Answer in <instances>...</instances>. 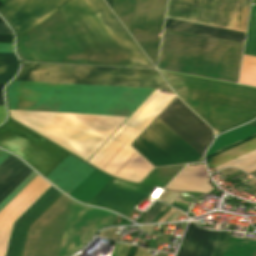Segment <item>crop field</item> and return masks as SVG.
Wrapping results in <instances>:
<instances>
[{
  "label": "crop field",
  "instance_id": "16",
  "mask_svg": "<svg viewBox=\"0 0 256 256\" xmlns=\"http://www.w3.org/2000/svg\"><path fill=\"white\" fill-rule=\"evenodd\" d=\"M31 171L11 155L0 165V203Z\"/></svg>",
  "mask_w": 256,
  "mask_h": 256
},
{
  "label": "crop field",
  "instance_id": "18",
  "mask_svg": "<svg viewBox=\"0 0 256 256\" xmlns=\"http://www.w3.org/2000/svg\"><path fill=\"white\" fill-rule=\"evenodd\" d=\"M166 29L220 38L243 43L245 34L166 19Z\"/></svg>",
  "mask_w": 256,
  "mask_h": 256
},
{
  "label": "crop field",
  "instance_id": "21",
  "mask_svg": "<svg viewBox=\"0 0 256 256\" xmlns=\"http://www.w3.org/2000/svg\"><path fill=\"white\" fill-rule=\"evenodd\" d=\"M239 84L256 87V57H243Z\"/></svg>",
  "mask_w": 256,
  "mask_h": 256
},
{
  "label": "crop field",
  "instance_id": "22",
  "mask_svg": "<svg viewBox=\"0 0 256 256\" xmlns=\"http://www.w3.org/2000/svg\"><path fill=\"white\" fill-rule=\"evenodd\" d=\"M227 166H234V167H236L238 169H242L248 173L256 170V150L249 154H246L242 157H239L233 161H230L224 165H221L215 169H216V171H218Z\"/></svg>",
  "mask_w": 256,
  "mask_h": 256
},
{
  "label": "crop field",
  "instance_id": "19",
  "mask_svg": "<svg viewBox=\"0 0 256 256\" xmlns=\"http://www.w3.org/2000/svg\"><path fill=\"white\" fill-rule=\"evenodd\" d=\"M254 149H256V138L213 157L212 162L208 163V167L214 168Z\"/></svg>",
  "mask_w": 256,
  "mask_h": 256
},
{
  "label": "crop field",
  "instance_id": "7",
  "mask_svg": "<svg viewBox=\"0 0 256 256\" xmlns=\"http://www.w3.org/2000/svg\"><path fill=\"white\" fill-rule=\"evenodd\" d=\"M0 147L25 160L44 177L69 154L11 120L0 127Z\"/></svg>",
  "mask_w": 256,
  "mask_h": 256
},
{
  "label": "crop field",
  "instance_id": "23",
  "mask_svg": "<svg viewBox=\"0 0 256 256\" xmlns=\"http://www.w3.org/2000/svg\"><path fill=\"white\" fill-rule=\"evenodd\" d=\"M220 232L211 256H223L231 236Z\"/></svg>",
  "mask_w": 256,
  "mask_h": 256
},
{
  "label": "crop field",
  "instance_id": "24",
  "mask_svg": "<svg viewBox=\"0 0 256 256\" xmlns=\"http://www.w3.org/2000/svg\"><path fill=\"white\" fill-rule=\"evenodd\" d=\"M132 245L117 243L112 256H127ZM146 249L138 248L135 256H145Z\"/></svg>",
  "mask_w": 256,
  "mask_h": 256
},
{
  "label": "crop field",
  "instance_id": "12",
  "mask_svg": "<svg viewBox=\"0 0 256 256\" xmlns=\"http://www.w3.org/2000/svg\"><path fill=\"white\" fill-rule=\"evenodd\" d=\"M51 185L37 176L1 213H0V256H4L13 223L50 187Z\"/></svg>",
  "mask_w": 256,
  "mask_h": 256
},
{
  "label": "crop field",
  "instance_id": "35",
  "mask_svg": "<svg viewBox=\"0 0 256 256\" xmlns=\"http://www.w3.org/2000/svg\"><path fill=\"white\" fill-rule=\"evenodd\" d=\"M248 125H251V126L256 127V120H255V121H253V122H251V123H249Z\"/></svg>",
  "mask_w": 256,
  "mask_h": 256
},
{
  "label": "crop field",
  "instance_id": "3",
  "mask_svg": "<svg viewBox=\"0 0 256 256\" xmlns=\"http://www.w3.org/2000/svg\"><path fill=\"white\" fill-rule=\"evenodd\" d=\"M159 71L177 95L218 133L256 117V88Z\"/></svg>",
  "mask_w": 256,
  "mask_h": 256
},
{
  "label": "crop field",
  "instance_id": "38",
  "mask_svg": "<svg viewBox=\"0 0 256 256\" xmlns=\"http://www.w3.org/2000/svg\"><path fill=\"white\" fill-rule=\"evenodd\" d=\"M253 4H256V0L253 1Z\"/></svg>",
  "mask_w": 256,
  "mask_h": 256
},
{
  "label": "crop field",
  "instance_id": "31",
  "mask_svg": "<svg viewBox=\"0 0 256 256\" xmlns=\"http://www.w3.org/2000/svg\"><path fill=\"white\" fill-rule=\"evenodd\" d=\"M5 84H0V105H4L3 101V94H2V88L4 87Z\"/></svg>",
  "mask_w": 256,
  "mask_h": 256
},
{
  "label": "crop field",
  "instance_id": "8",
  "mask_svg": "<svg viewBox=\"0 0 256 256\" xmlns=\"http://www.w3.org/2000/svg\"><path fill=\"white\" fill-rule=\"evenodd\" d=\"M143 134L176 164L203 161L159 118ZM143 134L132 144L142 155L154 166L175 164Z\"/></svg>",
  "mask_w": 256,
  "mask_h": 256
},
{
  "label": "crop field",
  "instance_id": "5",
  "mask_svg": "<svg viewBox=\"0 0 256 256\" xmlns=\"http://www.w3.org/2000/svg\"><path fill=\"white\" fill-rule=\"evenodd\" d=\"M16 81L168 87L155 70L26 63Z\"/></svg>",
  "mask_w": 256,
  "mask_h": 256
},
{
  "label": "crop field",
  "instance_id": "30",
  "mask_svg": "<svg viewBox=\"0 0 256 256\" xmlns=\"http://www.w3.org/2000/svg\"><path fill=\"white\" fill-rule=\"evenodd\" d=\"M6 118L4 106H0V124L4 122Z\"/></svg>",
  "mask_w": 256,
  "mask_h": 256
},
{
  "label": "crop field",
  "instance_id": "11",
  "mask_svg": "<svg viewBox=\"0 0 256 256\" xmlns=\"http://www.w3.org/2000/svg\"><path fill=\"white\" fill-rule=\"evenodd\" d=\"M134 67L154 68L103 0L85 1Z\"/></svg>",
  "mask_w": 256,
  "mask_h": 256
},
{
  "label": "crop field",
  "instance_id": "34",
  "mask_svg": "<svg viewBox=\"0 0 256 256\" xmlns=\"http://www.w3.org/2000/svg\"><path fill=\"white\" fill-rule=\"evenodd\" d=\"M106 2H107V4L110 6V8H111V6H112V0H105Z\"/></svg>",
  "mask_w": 256,
  "mask_h": 256
},
{
  "label": "crop field",
  "instance_id": "17",
  "mask_svg": "<svg viewBox=\"0 0 256 256\" xmlns=\"http://www.w3.org/2000/svg\"><path fill=\"white\" fill-rule=\"evenodd\" d=\"M208 181L204 165L191 166L186 167L167 188L207 193L213 189Z\"/></svg>",
  "mask_w": 256,
  "mask_h": 256
},
{
  "label": "crop field",
  "instance_id": "33",
  "mask_svg": "<svg viewBox=\"0 0 256 256\" xmlns=\"http://www.w3.org/2000/svg\"><path fill=\"white\" fill-rule=\"evenodd\" d=\"M9 156V154L3 152L1 155H0V164Z\"/></svg>",
  "mask_w": 256,
  "mask_h": 256
},
{
  "label": "crop field",
  "instance_id": "26",
  "mask_svg": "<svg viewBox=\"0 0 256 256\" xmlns=\"http://www.w3.org/2000/svg\"><path fill=\"white\" fill-rule=\"evenodd\" d=\"M0 34L13 35V32L10 30L6 23H0Z\"/></svg>",
  "mask_w": 256,
  "mask_h": 256
},
{
  "label": "crop field",
  "instance_id": "1",
  "mask_svg": "<svg viewBox=\"0 0 256 256\" xmlns=\"http://www.w3.org/2000/svg\"><path fill=\"white\" fill-rule=\"evenodd\" d=\"M67 1L10 0L0 12L20 36ZM53 15L90 64L133 67L83 0H70Z\"/></svg>",
  "mask_w": 256,
  "mask_h": 256
},
{
  "label": "crop field",
  "instance_id": "4",
  "mask_svg": "<svg viewBox=\"0 0 256 256\" xmlns=\"http://www.w3.org/2000/svg\"><path fill=\"white\" fill-rule=\"evenodd\" d=\"M175 97L156 90L88 162L114 176L139 182L153 167L129 144Z\"/></svg>",
  "mask_w": 256,
  "mask_h": 256
},
{
  "label": "crop field",
  "instance_id": "27",
  "mask_svg": "<svg viewBox=\"0 0 256 256\" xmlns=\"http://www.w3.org/2000/svg\"><path fill=\"white\" fill-rule=\"evenodd\" d=\"M171 206H173V207H175V208H177V209H180V210H183V211H185V212H187L188 211V205H186V204H184V203H181V202H179V201H177V200H175L172 204H171Z\"/></svg>",
  "mask_w": 256,
  "mask_h": 256
},
{
  "label": "crop field",
  "instance_id": "13",
  "mask_svg": "<svg viewBox=\"0 0 256 256\" xmlns=\"http://www.w3.org/2000/svg\"><path fill=\"white\" fill-rule=\"evenodd\" d=\"M52 186L14 223L5 256H21L29 227L61 196Z\"/></svg>",
  "mask_w": 256,
  "mask_h": 256
},
{
  "label": "crop field",
  "instance_id": "28",
  "mask_svg": "<svg viewBox=\"0 0 256 256\" xmlns=\"http://www.w3.org/2000/svg\"><path fill=\"white\" fill-rule=\"evenodd\" d=\"M0 52H14L13 44H0Z\"/></svg>",
  "mask_w": 256,
  "mask_h": 256
},
{
  "label": "crop field",
  "instance_id": "20",
  "mask_svg": "<svg viewBox=\"0 0 256 256\" xmlns=\"http://www.w3.org/2000/svg\"><path fill=\"white\" fill-rule=\"evenodd\" d=\"M19 67V61L14 53H0V82L12 79Z\"/></svg>",
  "mask_w": 256,
  "mask_h": 256
},
{
  "label": "crop field",
  "instance_id": "2",
  "mask_svg": "<svg viewBox=\"0 0 256 256\" xmlns=\"http://www.w3.org/2000/svg\"><path fill=\"white\" fill-rule=\"evenodd\" d=\"M155 89L14 82L10 109L132 115Z\"/></svg>",
  "mask_w": 256,
  "mask_h": 256
},
{
  "label": "crop field",
  "instance_id": "9",
  "mask_svg": "<svg viewBox=\"0 0 256 256\" xmlns=\"http://www.w3.org/2000/svg\"><path fill=\"white\" fill-rule=\"evenodd\" d=\"M158 117L202 157L212 132L184 103L176 98Z\"/></svg>",
  "mask_w": 256,
  "mask_h": 256
},
{
  "label": "crop field",
  "instance_id": "15",
  "mask_svg": "<svg viewBox=\"0 0 256 256\" xmlns=\"http://www.w3.org/2000/svg\"><path fill=\"white\" fill-rule=\"evenodd\" d=\"M218 233L200 229L190 222L176 256H210Z\"/></svg>",
  "mask_w": 256,
  "mask_h": 256
},
{
  "label": "crop field",
  "instance_id": "36",
  "mask_svg": "<svg viewBox=\"0 0 256 256\" xmlns=\"http://www.w3.org/2000/svg\"><path fill=\"white\" fill-rule=\"evenodd\" d=\"M7 1H9V0H0V2L3 4V3H5V2H7Z\"/></svg>",
  "mask_w": 256,
  "mask_h": 256
},
{
  "label": "crop field",
  "instance_id": "14",
  "mask_svg": "<svg viewBox=\"0 0 256 256\" xmlns=\"http://www.w3.org/2000/svg\"><path fill=\"white\" fill-rule=\"evenodd\" d=\"M94 169L69 154L45 178L68 195Z\"/></svg>",
  "mask_w": 256,
  "mask_h": 256
},
{
  "label": "crop field",
  "instance_id": "10",
  "mask_svg": "<svg viewBox=\"0 0 256 256\" xmlns=\"http://www.w3.org/2000/svg\"><path fill=\"white\" fill-rule=\"evenodd\" d=\"M151 187L133 185L113 179L88 205L106 208L128 218L133 208L146 196Z\"/></svg>",
  "mask_w": 256,
  "mask_h": 256
},
{
  "label": "crop field",
  "instance_id": "29",
  "mask_svg": "<svg viewBox=\"0 0 256 256\" xmlns=\"http://www.w3.org/2000/svg\"><path fill=\"white\" fill-rule=\"evenodd\" d=\"M14 36H2L0 35V43H13Z\"/></svg>",
  "mask_w": 256,
  "mask_h": 256
},
{
  "label": "crop field",
  "instance_id": "39",
  "mask_svg": "<svg viewBox=\"0 0 256 256\" xmlns=\"http://www.w3.org/2000/svg\"><path fill=\"white\" fill-rule=\"evenodd\" d=\"M2 153V151H0V154Z\"/></svg>",
  "mask_w": 256,
  "mask_h": 256
},
{
  "label": "crop field",
  "instance_id": "25",
  "mask_svg": "<svg viewBox=\"0 0 256 256\" xmlns=\"http://www.w3.org/2000/svg\"><path fill=\"white\" fill-rule=\"evenodd\" d=\"M165 204L157 202L152 208H150L145 215L149 216L143 223H150L158 214L161 213V209ZM167 207V205L162 209V211Z\"/></svg>",
  "mask_w": 256,
  "mask_h": 256
},
{
  "label": "crop field",
  "instance_id": "32",
  "mask_svg": "<svg viewBox=\"0 0 256 256\" xmlns=\"http://www.w3.org/2000/svg\"><path fill=\"white\" fill-rule=\"evenodd\" d=\"M171 207H167L157 218H155L151 223L156 222L162 215H164ZM163 217V216H162Z\"/></svg>",
  "mask_w": 256,
  "mask_h": 256
},
{
  "label": "crop field",
  "instance_id": "37",
  "mask_svg": "<svg viewBox=\"0 0 256 256\" xmlns=\"http://www.w3.org/2000/svg\"><path fill=\"white\" fill-rule=\"evenodd\" d=\"M0 22H4L3 19L0 17Z\"/></svg>",
  "mask_w": 256,
  "mask_h": 256
},
{
  "label": "crop field",
  "instance_id": "6",
  "mask_svg": "<svg viewBox=\"0 0 256 256\" xmlns=\"http://www.w3.org/2000/svg\"><path fill=\"white\" fill-rule=\"evenodd\" d=\"M248 4L249 0H169L166 18L231 27L235 6ZM248 11L249 7H236L232 28L197 23L245 33Z\"/></svg>",
  "mask_w": 256,
  "mask_h": 256
}]
</instances>
